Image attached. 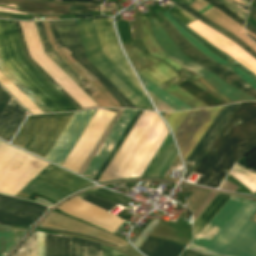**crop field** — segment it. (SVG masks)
<instances>
[{"instance_id":"obj_1","label":"crop field","mask_w":256,"mask_h":256,"mask_svg":"<svg viewBox=\"0 0 256 256\" xmlns=\"http://www.w3.org/2000/svg\"><path fill=\"white\" fill-rule=\"evenodd\" d=\"M255 122L256 103H242L197 168L194 170L195 173L202 174L197 181V184L210 187ZM254 148H256V123L211 187L217 188L220 180L231 169L234 162Z\"/></svg>"},{"instance_id":"obj_2","label":"crop field","mask_w":256,"mask_h":256,"mask_svg":"<svg viewBox=\"0 0 256 256\" xmlns=\"http://www.w3.org/2000/svg\"><path fill=\"white\" fill-rule=\"evenodd\" d=\"M95 111L29 116L13 144L45 158L73 115L46 156L60 165Z\"/></svg>"},{"instance_id":"obj_3","label":"crop field","mask_w":256,"mask_h":256,"mask_svg":"<svg viewBox=\"0 0 256 256\" xmlns=\"http://www.w3.org/2000/svg\"><path fill=\"white\" fill-rule=\"evenodd\" d=\"M0 55L4 65L52 112L78 110L26 59L13 21H0Z\"/></svg>"},{"instance_id":"obj_4","label":"crop field","mask_w":256,"mask_h":256,"mask_svg":"<svg viewBox=\"0 0 256 256\" xmlns=\"http://www.w3.org/2000/svg\"><path fill=\"white\" fill-rule=\"evenodd\" d=\"M256 202L247 200L205 251L216 255L256 256V224L248 221Z\"/></svg>"},{"instance_id":"obj_5","label":"crop field","mask_w":256,"mask_h":256,"mask_svg":"<svg viewBox=\"0 0 256 256\" xmlns=\"http://www.w3.org/2000/svg\"><path fill=\"white\" fill-rule=\"evenodd\" d=\"M76 23L88 60L138 109L153 110L148 98L103 55L92 20Z\"/></svg>"},{"instance_id":"obj_6","label":"crop field","mask_w":256,"mask_h":256,"mask_svg":"<svg viewBox=\"0 0 256 256\" xmlns=\"http://www.w3.org/2000/svg\"><path fill=\"white\" fill-rule=\"evenodd\" d=\"M222 107L165 113L179 146L183 161L195 147Z\"/></svg>"},{"instance_id":"obj_7","label":"crop field","mask_w":256,"mask_h":256,"mask_svg":"<svg viewBox=\"0 0 256 256\" xmlns=\"http://www.w3.org/2000/svg\"><path fill=\"white\" fill-rule=\"evenodd\" d=\"M51 167H52V165L49 164L33 180H31L16 196L29 198V196L32 193H37V194H40V195H43V196L49 198L50 200H52L53 202L56 203L59 200H61L62 198L66 197L78 190H81L83 188L93 185V184H89L88 182H86L68 172H65L55 166H53L52 168ZM48 169H50V170H48ZM39 177H41V178H39ZM36 180H37V182H39L45 186H48V187H50L58 192H61L63 194L70 190H73L79 186H82L85 184H89V185L79 187L65 195H62L50 188H47V187L35 182Z\"/></svg>"},{"instance_id":"obj_8","label":"crop field","mask_w":256,"mask_h":256,"mask_svg":"<svg viewBox=\"0 0 256 256\" xmlns=\"http://www.w3.org/2000/svg\"><path fill=\"white\" fill-rule=\"evenodd\" d=\"M152 31L154 36L161 46V48L167 53V55L172 58L174 61L184 65L185 67L193 70L194 72L200 74L212 87H214L218 92L227 98L235 101H256L255 99L243 94L242 92L236 90L235 88L226 84L223 80H221L216 75L202 68L191 59L186 57L183 53H181L176 45L169 39L165 31L159 25L155 17L151 18ZM183 66V67H184ZM192 71V72H193Z\"/></svg>"},{"instance_id":"obj_9","label":"crop field","mask_w":256,"mask_h":256,"mask_svg":"<svg viewBox=\"0 0 256 256\" xmlns=\"http://www.w3.org/2000/svg\"><path fill=\"white\" fill-rule=\"evenodd\" d=\"M135 113L136 111L134 110H125L123 115L121 114V118L119 119V121L117 122V124L115 125V127L113 128V130L111 131V133L109 134V136L107 137V139L105 140V142L103 143V145L101 146V148L99 149V151L97 152V154L95 155V157L83 173L84 176H87L92 179V177L94 176V174L96 173V171L98 170V168L100 167V165L102 164V162L104 161V159L106 158V156L108 155V153L110 152V150L112 149V147L114 146V144L116 143V141L118 140V138L120 137V135L122 134V132L124 131V129L126 128V126L128 125V123L130 122ZM140 113L141 111H137V113L135 114V116L133 117V119L131 120V122L129 123V125L127 126V128L125 129V131L123 132V134L121 135V137L119 138V140L117 141V143L115 144V146L113 147V149L111 150V152L109 153V155L97 171V173L95 174V176L93 177V180L97 181L102 171L112 158L113 154L125 138L126 134L130 130V128L132 127Z\"/></svg>"},{"instance_id":"obj_10","label":"crop field","mask_w":256,"mask_h":256,"mask_svg":"<svg viewBox=\"0 0 256 256\" xmlns=\"http://www.w3.org/2000/svg\"><path fill=\"white\" fill-rule=\"evenodd\" d=\"M158 15L167 22L168 20L164 18L160 12H158ZM162 22V23H165ZM161 23V24H162ZM163 27L166 29L172 40L175 42L176 45H179V48L186 53L189 57H191L194 61H196L198 64L208 68L216 75L222 77L227 82H229L232 85H235L239 87L241 90L245 91L249 95L256 98V91L252 89L250 86H248L245 82H243L240 78L235 76L233 73H231L226 68L212 62L207 57L202 55L200 52H198L190 43H188L177 31L176 29L169 23L163 24Z\"/></svg>"},{"instance_id":"obj_11","label":"crop field","mask_w":256,"mask_h":256,"mask_svg":"<svg viewBox=\"0 0 256 256\" xmlns=\"http://www.w3.org/2000/svg\"><path fill=\"white\" fill-rule=\"evenodd\" d=\"M45 209L29 201L0 195V224L30 226Z\"/></svg>"},{"instance_id":"obj_12","label":"crop field","mask_w":256,"mask_h":256,"mask_svg":"<svg viewBox=\"0 0 256 256\" xmlns=\"http://www.w3.org/2000/svg\"><path fill=\"white\" fill-rule=\"evenodd\" d=\"M93 21L104 55L144 93L120 51L111 19L100 18Z\"/></svg>"},{"instance_id":"obj_13","label":"crop field","mask_w":256,"mask_h":256,"mask_svg":"<svg viewBox=\"0 0 256 256\" xmlns=\"http://www.w3.org/2000/svg\"><path fill=\"white\" fill-rule=\"evenodd\" d=\"M53 212H55V211H53ZM53 212L51 214H49L44 219V221L41 223L40 227L47 228V229H52V230L71 232V233H76V234H80V235H85V236L97 238V239L103 240L105 242L116 244V245H118L120 247H123V248L128 244L127 242H125V241H123V240H121V239H119V238H117V237H115L113 235H112L113 237L110 236L111 234L108 235L109 233L106 234L107 232L106 233H103L104 231L100 232V231H98L99 229L95 230L96 228L95 229H93L94 227L91 228L92 226L88 227L89 225L86 226L87 224L83 225L84 223L81 224L82 222L79 223L80 221L76 222L77 220L73 221L74 219L71 220L72 218L68 219L69 217L65 218L66 216L63 217L64 215L60 216L62 214L57 215L59 213L55 212V213H57V214H55ZM71 233H68V234H71ZM76 234H72V235H76ZM80 235H76V236H80ZM85 236H80V237H84V238L100 241V240L89 238V237H85ZM100 242H102V241H100ZM110 245H112V244H110ZM116 245H112V246L118 247ZM120 247H118V248H120ZM120 249H122V248H120Z\"/></svg>"},{"instance_id":"obj_14","label":"crop field","mask_w":256,"mask_h":256,"mask_svg":"<svg viewBox=\"0 0 256 256\" xmlns=\"http://www.w3.org/2000/svg\"><path fill=\"white\" fill-rule=\"evenodd\" d=\"M245 201L231 196L190 245L204 250Z\"/></svg>"},{"instance_id":"obj_15","label":"crop field","mask_w":256,"mask_h":256,"mask_svg":"<svg viewBox=\"0 0 256 256\" xmlns=\"http://www.w3.org/2000/svg\"><path fill=\"white\" fill-rule=\"evenodd\" d=\"M239 105L240 103L224 106V108L221 110L219 115L213 121V123L208 128L206 133L203 135L201 140L198 142L196 147L193 149V151L190 153L188 158L185 160L186 163H190L192 165L183 179L186 180V178L189 176L191 171L194 169L196 164L202 158L204 153L207 151L209 146L212 144L214 139L217 137L219 132L222 130L224 125L227 123V121L230 119V117L232 116V114L235 112V110Z\"/></svg>"},{"instance_id":"obj_16","label":"crop field","mask_w":256,"mask_h":256,"mask_svg":"<svg viewBox=\"0 0 256 256\" xmlns=\"http://www.w3.org/2000/svg\"><path fill=\"white\" fill-rule=\"evenodd\" d=\"M67 49L72 53L71 56L86 70H88L92 75H94L100 82H102L110 92L116 97L122 107L136 109L121 93H119L85 58L82 45H75L67 47ZM64 48L69 54L70 52ZM78 63L74 64L85 76H87L91 81L96 80L88 71H86Z\"/></svg>"},{"instance_id":"obj_17","label":"crop field","mask_w":256,"mask_h":256,"mask_svg":"<svg viewBox=\"0 0 256 256\" xmlns=\"http://www.w3.org/2000/svg\"><path fill=\"white\" fill-rule=\"evenodd\" d=\"M176 156V151L168 134L141 177H163Z\"/></svg>"},{"instance_id":"obj_18","label":"crop field","mask_w":256,"mask_h":256,"mask_svg":"<svg viewBox=\"0 0 256 256\" xmlns=\"http://www.w3.org/2000/svg\"><path fill=\"white\" fill-rule=\"evenodd\" d=\"M11 97L0 115V138L10 140L25 118V113Z\"/></svg>"},{"instance_id":"obj_19","label":"crop field","mask_w":256,"mask_h":256,"mask_svg":"<svg viewBox=\"0 0 256 256\" xmlns=\"http://www.w3.org/2000/svg\"><path fill=\"white\" fill-rule=\"evenodd\" d=\"M39 31L42 43L44 45L46 53L67 73L69 74L90 96H92L96 90L78 73H76L70 66H68L60 56L52 48L49 39L47 37L44 25L42 21L35 22Z\"/></svg>"},{"instance_id":"obj_20","label":"crop field","mask_w":256,"mask_h":256,"mask_svg":"<svg viewBox=\"0 0 256 256\" xmlns=\"http://www.w3.org/2000/svg\"><path fill=\"white\" fill-rule=\"evenodd\" d=\"M177 29L178 31L198 50H200L202 53L207 55L209 58L214 60L215 62L225 66L230 71L235 73L237 76H239L241 79L246 81L248 84H250L252 87L256 89V82L251 79L246 73H244L241 69L233 65L232 63L228 62L225 59L219 58L217 55L209 51L207 48H205L201 43H199L196 39H194L191 35H189L185 30H183L177 23H175L165 12L162 13Z\"/></svg>"},{"instance_id":"obj_21","label":"crop field","mask_w":256,"mask_h":256,"mask_svg":"<svg viewBox=\"0 0 256 256\" xmlns=\"http://www.w3.org/2000/svg\"><path fill=\"white\" fill-rule=\"evenodd\" d=\"M182 249L178 244L148 236L138 250L146 256H177Z\"/></svg>"},{"instance_id":"obj_22","label":"crop field","mask_w":256,"mask_h":256,"mask_svg":"<svg viewBox=\"0 0 256 256\" xmlns=\"http://www.w3.org/2000/svg\"><path fill=\"white\" fill-rule=\"evenodd\" d=\"M141 19V26H142V42L147 49L149 55L154 56L156 58L162 59L168 64H170L172 67H174L176 70H179L183 67L175 63L173 60H171L160 48V46L157 44L151 30L149 27V23L147 19L144 16H140Z\"/></svg>"},{"instance_id":"obj_23","label":"crop field","mask_w":256,"mask_h":256,"mask_svg":"<svg viewBox=\"0 0 256 256\" xmlns=\"http://www.w3.org/2000/svg\"><path fill=\"white\" fill-rule=\"evenodd\" d=\"M49 23L60 48L81 43L74 22Z\"/></svg>"},{"instance_id":"obj_24","label":"crop field","mask_w":256,"mask_h":256,"mask_svg":"<svg viewBox=\"0 0 256 256\" xmlns=\"http://www.w3.org/2000/svg\"><path fill=\"white\" fill-rule=\"evenodd\" d=\"M0 1L8 4L13 3V4L20 5L19 9L61 11V12H69L70 10V7L38 4V3H33V2H28L23 0H0ZM27 10H19V11H23L33 16H53V15L69 14V13H61V12H44V11H27Z\"/></svg>"},{"instance_id":"obj_25","label":"crop field","mask_w":256,"mask_h":256,"mask_svg":"<svg viewBox=\"0 0 256 256\" xmlns=\"http://www.w3.org/2000/svg\"><path fill=\"white\" fill-rule=\"evenodd\" d=\"M45 256H71L70 237L44 233Z\"/></svg>"},{"instance_id":"obj_26","label":"crop field","mask_w":256,"mask_h":256,"mask_svg":"<svg viewBox=\"0 0 256 256\" xmlns=\"http://www.w3.org/2000/svg\"><path fill=\"white\" fill-rule=\"evenodd\" d=\"M230 196L217 194L214 199L206 206V208L193 221L194 237L204 228L209 220L221 208Z\"/></svg>"},{"instance_id":"obj_27","label":"crop field","mask_w":256,"mask_h":256,"mask_svg":"<svg viewBox=\"0 0 256 256\" xmlns=\"http://www.w3.org/2000/svg\"><path fill=\"white\" fill-rule=\"evenodd\" d=\"M185 78H183L181 75L158 86L162 90L170 93L171 95L175 96L182 102L186 103L192 108L196 107H205L206 105L191 96L189 93L178 87L177 85L184 82Z\"/></svg>"},{"instance_id":"obj_28","label":"crop field","mask_w":256,"mask_h":256,"mask_svg":"<svg viewBox=\"0 0 256 256\" xmlns=\"http://www.w3.org/2000/svg\"><path fill=\"white\" fill-rule=\"evenodd\" d=\"M140 72L157 86L179 75L168 64L162 62L158 65L143 69Z\"/></svg>"},{"instance_id":"obj_29","label":"crop field","mask_w":256,"mask_h":256,"mask_svg":"<svg viewBox=\"0 0 256 256\" xmlns=\"http://www.w3.org/2000/svg\"><path fill=\"white\" fill-rule=\"evenodd\" d=\"M124 50L126 51L135 71H138L140 69L155 65L161 60L147 56L137 50L134 46H126L122 45Z\"/></svg>"},{"instance_id":"obj_30","label":"crop field","mask_w":256,"mask_h":256,"mask_svg":"<svg viewBox=\"0 0 256 256\" xmlns=\"http://www.w3.org/2000/svg\"><path fill=\"white\" fill-rule=\"evenodd\" d=\"M72 256H100V244L71 237Z\"/></svg>"},{"instance_id":"obj_31","label":"crop field","mask_w":256,"mask_h":256,"mask_svg":"<svg viewBox=\"0 0 256 256\" xmlns=\"http://www.w3.org/2000/svg\"><path fill=\"white\" fill-rule=\"evenodd\" d=\"M174 3L177 4L178 6H180L183 10H185L190 15H192V16L196 17L197 19L203 21L204 23H206L209 26H211L212 28H214L216 31H218V32L224 34L225 36H227L228 38H230L232 41H234L239 46H241L243 49H245L247 52H249L256 59V54L245 43H243L241 40L236 38L230 32H228V31L222 29L221 27H219L218 25L214 24L213 22H211L210 20H208L204 16H202L199 13H197L196 11H194L192 8H190L186 4H184V3L178 4L176 2H174Z\"/></svg>"},{"instance_id":"obj_32","label":"crop field","mask_w":256,"mask_h":256,"mask_svg":"<svg viewBox=\"0 0 256 256\" xmlns=\"http://www.w3.org/2000/svg\"><path fill=\"white\" fill-rule=\"evenodd\" d=\"M140 77L142 78V80L148 90H150L153 94H155L157 97H159L161 100H163L165 103H167L169 106H171L176 111L190 109L189 106L185 105L184 103H182L178 99L174 98L170 94L162 91L157 86H155L153 83H151L150 81L145 79L143 76L140 75Z\"/></svg>"},{"instance_id":"obj_33","label":"crop field","mask_w":256,"mask_h":256,"mask_svg":"<svg viewBox=\"0 0 256 256\" xmlns=\"http://www.w3.org/2000/svg\"><path fill=\"white\" fill-rule=\"evenodd\" d=\"M0 70L43 112L50 113L51 111L34 95L32 94L2 63L0 57Z\"/></svg>"},{"instance_id":"obj_34","label":"crop field","mask_w":256,"mask_h":256,"mask_svg":"<svg viewBox=\"0 0 256 256\" xmlns=\"http://www.w3.org/2000/svg\"><path fill=\"white\" fill-rule=\"evenodd\" d=\"M15 22V25H16V28H17V31H18V34H19V37L21 39V42H22V45H23V48H24V51H25V54H26V57L27 59L52 83L54 84L79 110H82L83 108L72 98L70 97L45 71H43L29 56V53H28V50H27V47H26V44H25V41H24V38H23V35H22V32H21V29H20V26H19V23L14 21Z\"/></svg>"},{"instance_id":"obj_35","label":"crop field","mask_w":256,"mask_h":256,"mask_svg":"<svg viewBox=\"0 0 256 256\" xmlns=\"http://www.w3.org/2000/svg\"><path fill=\"white\" fill-rule=\"evenodd\" d=\"M12 256H37L36 230L32 235L12 254Z\"/></svg>"},{"instance_id":"obj_36","label":"crop field","mask_w":256,"mask_h":256,"mask_svg":"<svg viewBox=\"0 0 256 256\" xmlns=\"http://www.w3.org/2000/svg\"><path fill=\"white\" fill-rule=\"evenodd\" d=\"M87 193L92 194V195L97 196V197H100V198H103L105 200L117 203V204L122 205V206H124L127 203V201H125L124 199L110 193L108 190H104V189H101V188L91 190V191L83 193V194H81L77 197L82 199Z\"/></svg>"},{"instance_id":"obj_37","label":"crop field","mask_w":256,"mask_h":256,"mask_svg":"<svg viewBox=\"0 0 256 256\" xmlns=\"http://www.w3.org/2000/svg\"><path fill=\"white\" fill-rule=\"evenodd\" d=\"M28 1L45 3V4L64 5V6L71 5V3H67V2H56V1H47V0H28ZM71 9L100 10V7L94 6V5L73 4ZM82 11H85V10H71L70 14H74Z\"/></svg>"},{"instance_id":"obj_38","label":"crop field","mask_w":256,"mask_h":256,"mask_svg":"<svg viewBox=\"0 0 256 256\" xmlns=\"http://www.w3.org/2000/svg\"><path fill=\"white\" fill-rule=\"evenodd\" d=\"M181 75H183L185 78H187L190 82H192L194 85L200 87L201 89L205 90L206 92H208L209 94L213 95L214 97H216L218 100H220L221 102L225 103L224 101H222L220 98H218L216 95H214L212 92H210L202 83H200L196 78L199 77L198 75L186 70V69H181L179 71Z\"/></svg>"},{"instance_id":"obj_39","label":"crop field","mask_w":256,"mask_h":256,"mask_svg":"<svg viewBox=\"0 0 256 256\" xmlns=\"http://www.w3.org/2000/svg\"><path fill=\"white\" fill-rule=\"evenodd\" d=\"M172 14H174L179 20H181L186 26L196 22L197 20L188 15L185 11L179 9L178 7H173L172 9L168 10Z\"/></svg>"},{"instance_id":"obj_40","label":"crop field","mask_w":256,"mask_h":256,"mask_svg":"<svg viewBox=\"0 0 256 256\" xmlns=\"http://www.w3.org/2000/svg\"><path fill=\"white\" fill-rule=\"evenodd\" d=\"M83 200L89 202V203H92L106 211H110L112 208H114L116 205L112 204V203H109L105 200H102L100 198H97V197H93V196H89V195H86Z\"/></svg>"},{"instance_id":"obj_41","label":"crop field","mask_w":256,"mask_h":256,"mask_svg":"<svg viewBox=\"0 0 256 256\" xmlns=\"http://www.w3.org/2000/svg\"><path fill=\"white\" fill-rule=\"evenodd\" d=\"M207 2L211 3L214 5L216 8H218L220 11H222L224 14H226L228 17H230L232 20L240 24L241 26L244 25V22L242 19H240L238 16L233 14L231 11H229L227 8H225L223 5H221L219 2L216 0H206Z\"/></svg>"},{"instance_id":"obj_42","label":"crop field","mask_w":256,"mask_h":256,"mask_svg":"<svg viewBox=\"0 0 256 256\" xmlns=\"http://www.w3.org/2000/svg\"><path fill=\"white\" fill-rule=\"evenodd\" d=\"M148 91V90H147ZM149 95L155 104L158 111H174L172 108H170L168 105H166L164 102H162L160 99H158L155 95H153L151 92H149Z\"/></svg>"},{"instance_id":"obj_43","label":"crop field","mask_w":256,"mask_h":256,"mask_svg":"<svg viewBox=\"0 0 256 256\" xmlns=\"http://www.w3.org/2000/svg\"><path fill=\"white\" fill-rule=\"evenodd\" d=\"M218 1L222 3L225 7H227L229 10H231L233 13L241 17L243 20H246L247 14H245L243 11L235 7L233 4H231L227 0H218Z\"/></svg>"},{"instance_id":"obj_44","label":"crop field","mask_w":256,"mask_h":256,"mask_svg":"<svg viewBox=\"0 0 256 256\" xmlns=\"http://www.w3.org/2000/svg\"><path fill=\"white\" fill-rule=\"evenodd\" d=\"M101 256H127L117 250L101 245Z\"/></svg>"},{"instance_id":"obj_45","label":"crop field","mask_w":256,"mask_h":256,"mask_svg":"<svg viewBox=\"0 0 256 256\" xmlns=\"http://www.w3.org/2000/svg\"><path fill=\"white\" fill-rule=\"evenodd\" d=\"M10 95L0 86V113L10 99Z\"/></svg>"},{"instance_id":"obj_46","label":"crop field","mask_w":256,"mask_h":256,"mask_svg":"<svg viewBox=\"0 0 256 256\" xmlns=\"http://www.w3.org/2000/svg\"><path fill=\"white\" fill-rule=\"evenodd\" d=\"M6 239L7 251L13 245L10 226H3Z\"/></svg>"},{"instance_id":"obj_47","label":"crop field","mask_w":256,"mask_h":256,"mask_svg":"<svg viewBox=\"0 0 256 256\" xmlns=\"http://www.w3.org/2000/svg\"><path fill=\"white\" fill-rule=\"evenodd\" d=\"M38 256H44L43 233L37 231Z\"/></svg>"},{"instance_id":"obj_48","label":"crop field","mask_w":256,"mask_h":256,"mask_svg":"<svg viewBox=\"0 0 256 256\" xmlns=\"http://www.w3.org/2000/svg\"><path fill=\"white\" fill-rule=\"evenodd\" d=\"M11 228H12L14 243L16 244L19 241V239L22 237V235L25 233L26 229L16 228V227H11ZM18 235H20V238L17 237Z\"/></svg>"},{"instance_id":"obj_49","label":"crop field","mask_w":256,"mask_h":256,"mask_svg":"<svg viewBox=\"0 0 256 256\" xmlns=\"http://www.w3.org/2000/svg\"><path fill=\"white\" fill-rule=\"evenodd\" d=\"M6 249H5V242H4V236H3V229L2 226H0V256H5Z\"/></svg>"},{"instance_id":"obj_50","label":"crop field","mask_w":256,"mask_h":256,"mask_svg":"<svg viewBox=\"0 0 256 256\" xmlns=\"http://www.w3.org/2000/svg\"><path fill=\"white\" fill-rule=\"evenodd\" d=\"M209 90H211L213 93H215L217 96H219L221 99H223L226 103H231L232 101L228 100L221 94H219L216 90H214L208 83H206L201 77L198 78Z\"/></svg>"},{"instance_id":"obj_51","label":"crop field","mask_w":256,"mask_h":256,"mask_svg":"<svg viewBox=\"0 0 256 256\" xmlns=\"http://www.w3.org/2000/svg\"><path fill=\"white\" fill-rule=\"evenodd\" d=\"M231 3H233L235 6H237L238 8H240L241 10H243L245 13L248 12V8L249 6H247L246 4H244L243 2H241L240 0H228Z\"/></svg>"},{"instance_id":"obj_52","label":"crop field","mask_w":256,"mask_h":256,"mask_svg":"<svg viewBox=\"0 0 256 256\" xmlns=\"http://www.w3.org/2000/svg\"><path fill=\"white\" fill-rule=\"evenodd\" d=\"M181 256H206V255H203L201 253H198L189 249H185L184 252L181 254Z\"/></svg>"},{"instance_id":"obj_53","label":"crop field","mask_w":256,"mask_h":256,"mask_svg":"<svg viewBox=\"0 0 256 256\" xmlns=\"http://www.w3.org/2000/svg\"><path fill=\"white\" fill-rule=\"evenodd\" d=\"M0 12L26 15L19 11L9 10V9H4V8H0Z\"/></svg>"},{"instance_id":"obj_54","label":"crop field","mask_w":256,"mask_h":256,"mask_svg":"<svg viewBox=\"0 0 256 256\" xmlns=\"http://www.w3.org/2000/svg\"><path fill=\"white\" fill-rule=\"evenodd\" d=\"M246 29H248L250 32H252L253 34L256 35V29H254L253 27H251L249 24L246 25Z\"/></svg>"},{"instance_id":"obj_55","label":"crop field","mask_w":256,"mask_h":256,"mask_svg":"<svg viewBox=\"0 0 256 256\" xmlns=\"http://www.w3.org/2000/svg\"><path fill=\"white\" fill-rule=\"evenodd\" d=\"M249 16H251L253 19L256 20V12L254 10H252V9L250 10Z\"/></svg>"},{"instance_id":"obj_56","label":"crop field","mask_w":256,"mask_h":256,"mask_svg":"<svg viewBox=\"0 0 256 256\" xmlns=\"http://www.w3.org/2000/svg\"><path fill=\"white\" fill-rule=\"evenodd\" d=\"M0 4H1V5H5V6H9V7H13V8H17V9H18V7H19V6H17V5H13V4L8 5V4H4V3H1V2H0ZM2 7H4V6H2ZM6 8H8V7H6ZM11 9H12V8H11ZM15 10H16V9H15Z\"/></svg>"},{"instance_id":"obj_57","label":"crop field","mask_w":256,"mask_h":256,"mask_svg":"<svg viewBox=\"0 0 256 256\" xmlns=\"http://www.w3.org/2000/svg\"><path fill=\"white\" fill-rule=\"evenodd\" d=\"M252 3L256 5V0H253ZM248 35V34H247ZM251 39H253L256 42V39H254L252 36L248 35Z\"/></svg>"},{"instance_id":"obj_58","label":"crop field","mask_w":256,"mask_h":256,"mask_svg":"<svg viewBox=\"0 0 256 256\" xmlns=\"http://www.w3.org/2000/svg\"><path fill=\"white\" fill-rule=\"evenodd\" d=\"M89 1H100V0H89Z\"/></svg>"},{"instance_id":"obj_59","label":"crop field","mask_w":256,"mask_h":256,"mask_svg":"<svg viewBox=\"0 0 256 256\" xmlns=\"http://www.w3.org/2000/svg\"><path fill=\"white\" fill-rule=\"evenodd\" d=\"M224 182H225V180H224ZM224 182L222 183V185L224 184ZM222 185H221V186H222ZM221 186H220V188H221ZM220 188H219V189H220Z\"/></svg>"},{"instance_id":"obj_60","label":"crop field","mask_w":256,"mask_h":256,"mask_svg":"<svg viewBox=\"0 0 256 256\" xmlns=\"http://www.w3.org/2000/svg\"><path fill=\"white\" fill-rule=\"evenodd\" d=\"M252 9H254L256 11V9L254 7H251Z\"/></svg>"},{"instance_id":"obj_61","label":"crop field","mask_w":256,"mask_h":256,"mask_svg":"<svg viewBox=\"0 0 256 256\" xmlns=\"http://www.w3.org/2000/svg\"><path fill=\"white\" fill-rule=\"evenodd\" d=\"M239 166V165H238ZM241 167V166H240ZM246 169V168H245ZM248 170V169H247ZM251 171V170H250ZM252 172H254V171H252ZM254 173H256V172H254Z\"/></svg>"}]
</instances>
